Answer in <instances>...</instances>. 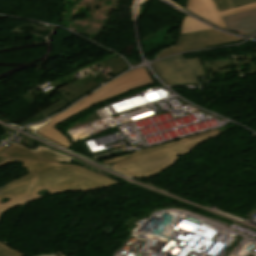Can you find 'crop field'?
I'll return each instance as SVG.
<instances>
[{
	"mask_svg": "<svg viewBox=\"0 0 256 256\" xmlns=\"http://www.w3.org/2000/svg\"><path fill=\"white\" fill-rule=\"evenodd\" d=\"M10 144V143H8ZM0 148V167L15 160L29 173L0 186V218L4 212L32 200L47 196L37 195V191L47 189L50 195L72 191H91L111 185L117 181L89 172L68 162L70 159L47 149L32 152L10 144ZM36 179V181H34Z\"/></svg>",
	"mask_w": 256,
	"mask_h": 256,
	"instance_id": "crop-field-1",
	"label": "crop field"
},
{
	"mask_svg": "<svg viewBox=\"0 0 256 256\" xmlns=\"http://www.w3.org/2000/svg\"><path fill=\"white\" fill-rule=\"evenodd\" d=\"M229 129L232 127L209 131L101 162L113 165L114 169L128 177L152 176L172 166L177 159L190 153L195 145Z\"/></svg>",
	"mask_w": 256,
	"mask_h": 256,
	"instance_id": "crop-field-2",
	"label": "crop field"
},
{
	"mask_svg": "<svg viewBox=\"0 0 256 256\" xmlns=\"http://www.w3.org/2000/svg\"><path fill=\"white\" fill-rule=\"evenodd\" d=\"M154 84V81L145 69L138 68L114 79L101 89L95 91L62 113L50 118V122L41 127L35 133L53 141L54 143L68 148L72 143L61 135L55 127L60 122L112 97L139 87Z\"/></svg>",
	"mask_w": 256,
	"mask_h": 256,
	"instance_id": "crop-field-3",
	"label": "crop field"
},
{
	"mask_svg": "<svg viewBox=\"0 0 256 256\" xmlns=\"http://www.w3.org/2000/svg\"><path fill=\"white\" fill-rule=\"evenodd\" d=\"M153 66L168 85L175 83L197 84L195 77L204 75L197 59L185 60L182 54L162 59Z\"/></svg>",
	"mask_w": 256,
	"mask_h": 256,
	"instance_id": "crop-field-4",
	"label": "crop field"
},
{
	"mask_svg": "<svg viewBox=\"0 0 256 256\" xmlns=\"http://www.w3.org/2000/svg\"><path fill=\"white\" fill-rule=\"evenodd\" d=\"M241 40L242 39L224 35L213 29L196 33L181 34L177 45L159 53L158 58L177 52L213 47Z\"/></svg>",
	"mask_w": 256,
	"mask_h": 256,
	"instance_id": "crop-field-5",
	"label": "crop field"
},
{
	"mask_svg": "<svg viewBox=\"0 0 256 256\" xmlns=\"http://www.w3.org/2000/svg\"><path fill=\"white\" fill-rule=\"evenodd\" d=\"M99 83L90 75L86 78H83L81 80H76L60 89H58V92L64 97L62 99H60L59 101H57L56 103L52 104L51 106L43 109L42 111H40L38 114H36L35 116L25 120L24 122L18 124V125H23L25 123L34 121V120H38L52 112H55L59 109H61L62 107L67 105V102L69 101L72 102L73 100L77 99L78 97H80L81 95H83L84 93H86L87 91L91 90L92 88H94L96 85H98Z\"/></svg>",
	"mask_w": 256,
	"mask_h": 256,
	"instance_id": "crop-field-6",
	"label": "crop field"
},
{
	"mask_svg": "<svg viewBox=\"0 0 256 256\" xmlns=\"http://www.w3.org/2000/svg\"><path fill=\"white\" fill-rule=\"evenodd\" d=\"M187 8L190 11L206 18L207 20H209L219 26L224 27V24H223L220 16L256 8V3L247 5V6H244L241 8L231 9V10H227V11L218 13L211 0H188Z\"/></svg>",
	"mask_w": 256,
	"mask_h": 256,
	"instance_id": "crop-field-7",
	"label": "crop field"
},
{
	"mask_svg": "<svg viewBox=\"0 0 256 256\" xmlns=\"http://www.w3.org/2000/svg\"><path fill=\"white\" fill-rule=\"evenodd\" d=\"M227 29L243 34L256 31V9L222 17Z\"/></svg>",
	"mask_w": 256,
	"mask_h": 256,
	"instance_id": "crop-field-8",
	"label": "crop field"
},
{
	"mask_svg": "<svg viewBox=\"0 0 256 256\" xmlns=\"http://www.w3.org/2000/svg\"><path fill=\"white\" fill-rule=\"evenodd\" d=\"M210 29V27L186 16L181 33H189Z\"/></svg>",
	"mask_w": 256,
	"mask_h": 256,
	"instance_id": "crop-field-9",
	"label": "crop field"
},
{
	"mask_svg": "<svg viewBox=\"0 0 256 256\" xmlns=\"http://www.w3.org/2000/svg\"><path fill=\"white\" fill-rule=\"evenodd\" d=\"M105 63L110 67V69L113 70V72L116 74L117 72L121 71L122 69H124V64L122 63V61L117 58L114 57L108 61H105Z\"/></svg>",
	"mask_w": 256,
	"mask_h": 256,
	"instance_id": "crop-field-10",
	"label": "crop field"
},
{
	"mask_svg": "<svg viewBox=\"0 0 256 256\" xmlns=\"http://www.w3.org/2000/svg\"><path fill=\"white\" fill-rule=\"evenodd\" d=\"M212 1L215 4L218 12L232 8L229 0H212Z\"/></svg>",
	"mask_w": 256,
	"mask_h": 256,
	"instance_id": "crop-field-11",
	"label": "crop field"
},
{
	"mask_svg": "<svg viewBox=\"0 0 256 256\" xmlns=\"http://www.w3.org/2000/svg\"><path fill=\"white\" fill-rule=\"evenodd\" d=\"M22 255L17 251L0 244V256H22Z\"/></svg>",
	"mask_w": 256,
	"mask_h": 256,
	"instance_id": "crop-field-12",
	"label": "crop field"
},
{
	"mask_svg": "<svg viewBox=\"0 0 256 256\" xmlns=\"http://www.w3.org/2000/svg\"><path fill=\"white\" fill-rule=\"evenodd\" d=\"M230 1L234 8L241 7V6L256 2V0H230Z\"/></svg>",
	"mask_w": 256,
	"mask_h": 256,
	"instance_id": "crop-field-13",
	"label": "crop field"
},
{
	"mask_svg": "<svg viewBox=\"0 0 256 256\" xmlns=\"http://www.w3.org/2000/svg\"><path fill=\"white\" fill-rule=\"evenodd\" d=\"M47 256H54V254H49V255H47Z\"/></svg>",
	"mask_w": 256,
	"mask_h": 256,
	"instance_id": "crop-field-14",
	"label": "crop field"
}]
</instances>
